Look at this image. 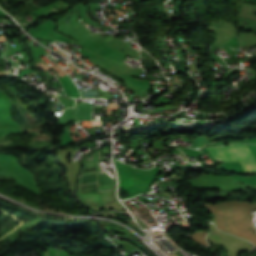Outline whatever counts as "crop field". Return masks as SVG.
I'll return each mask as SVG.
<instances>
[{
	"label": "crop field",
	"instance_id": "obj_1",
	"mask_svg": "<svg viewBox=\"0 0 256 256\" xmlns=\"http://www.w3.org/2000/svg\"><path fill=\"white\" fill-rule=\"evenodd\" d=\"M214 159L222 161L239 160L245 172H256V162L244 144H231L206 148Z\"/></svg>",
	"mask_w": 256,
	"mask_h": 256
}]
</instances>
